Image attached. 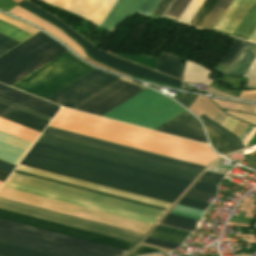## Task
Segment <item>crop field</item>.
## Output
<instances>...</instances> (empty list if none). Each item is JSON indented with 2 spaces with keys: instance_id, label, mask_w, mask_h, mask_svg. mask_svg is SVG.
Listing matches in <instances>:
<instances>
[{
  "instance_id": "28",
  "label": "crop field",
  "mask_w": 256,
  "mask_h": 256,
  "mask_svg": "<svg viewBox=\"0 0 256 256\" xmlns=\"http://www.w3.org/2000/svg\"><path fill=\"white\" fill-rule=\"evenodd\" d=\"M209 73L210 71L202 68L201 65L187 60L184 81L195 83L201 82L209 85L213 82V80L206 77Z\"/></svg>"
},
{
  "instance_id": "1",
  "label": "crop field",
  "mask_w": 256,
  "mask_h": 256,
  "mask_svg": "<svg viewBox=\"0 0 256 256\" xmlns=\"http://www.w3.org/2000/svg\"><path fill=\"white\" fill-rule=\"evenodd\" d=\"M49 127L206 166L217 157L207 145L62 108Z\"/></svg>"
},
{
  "instance_id": "32",
  "label": "crop field",
  "mask_w": 256,
  "mask_h": 256,
  "mask_svg": "<svg viewBox=\"0 0 256 256\" xmlns=\"http://www.w3.org/2000/svg\"><path fill=\"white\" fill-rule=\"evenodd\" d=\"M155 130H159V131H163V132H167V133H171L174 135H178V136H182V137H186L189 139L207 143L205 140L204 133L201 131L184 128V127H180V126H176V125H172V124H168V123H165V124L159 126Z\"/></svg>"
},
{
  "instance_id": "17",
  "label": "crop field",
  "mask_w": 256,
  "mask_h": 256,
  "mask_svg": "<svg viewBox=\"0 0 256 256\" xmlns=\"http://www.w3.org/2000/svg\"><path fill=\"white\" fill-rule=\"evenodd\" d=\"M3 187L31 193L34 195L62 201L65 203L89 208L92 210L120 216L123 218L131 219V220H135V221H139V222H143V223H147V224H151V225H153L154 222L157 220L156 218H152V217H148V216H144V215H140V214H136V213H132V212H128V211H124V210H120V209H116V208H112V207H108V206H104V205H100V204H96V203H92V202H88V201H84V200H80V199H76V198H72V197H68V196H64V195H60V194H56V193H52V192L24 186V185L12 183V182H8V181L5 182Z\"/></svg>"
},
{
  "instance_id": "55",
  "label": "crop field",
  "mask_w": 256,
  "mask_h": 256,
  "mask_svg": "<svg viewBox=\"0 0 256 256\" xmlns=\"http://www.w3.org/2000/svg\"><path fill=\"white\" fill-rule=\"evenodd\" d=\"M252 128H253V126L248 125V127L246 128V130L243 132V134L240 137L242 142L246 138V136L249 134V132L252 130Z\"/></svg>"
},
{
  "instance_id": "53",
  "label": "crop field",
  "mask_w": 256,
  "mask_h": 256,
  "mask_svg": "<svg viewBox=\"0 0 256 256\" xmlns=\"http://www.w3.org/2000/svg\"><path fill=\"white\" fill-rule=\"evenodd\" d=\"M133 252L135 253H141V254H147V253H151V252H158L154 249H151V248H146V247H142V246H139L137 249H135Z\"/></svg>"
},
{
  "instance_id": "6",
  "label": "crop field",
  "mask_w": 256,
  "mask_h": 256,
  "mask_svg": "<svg viewBox=\"0 0 256 256\" xmlns=\"http://www.w3.org/2000/svg\"><path fill=\"white\" fill-rule=\"evenodd\" d=\"M182 111L178 104L146 89L103 117L154 129Z\"/></svg>"
},
{
  "instance_id": "40",
  "label": "crop field",
  "mask_w": 256,
  "mask_h": 256,
  "mask_svg": "<svg viewBox=\"0 0 256 256\" xmlns=\"http://www.w3.org/2000/svg\"><path fill=\"white\" fill-rule=\"evenodd\" d=\"M178 204L188 206V207L198 208L202 210H205L210 205L209 203H204V202L196 201V200L185 198V197H183V199Z\"/></svg>"
},
{
  "instance_id": "33",
  "label": "crop field",
  "mask_w": 256,
  "mask_h": 256,
  "mask_svg": "<svg viewBox=\"0 0 256 256\" xmlns=\"http://www.w3.org/2000/svg\"><path fill=\"white\" fill-rule=\"evenodd\" d=\"M188 234L190 233L157 225L149 236L181 244Z\"/></svg>"
},
{
  "instance_id": "9",
  "label": "crop field",
  "mask_w": 256,
  "mask_h": 256,
  "mask_svg": "<svg viewBox=\"0 0 256 256\" xmlns=\"http://www.w3.org/2000/svg\"><path fill=\"white\" fill-rule=\"evenodd\" d=\"M29 10L37 13L38 15L48 19L49 21L61 26L64 30H66L71 36H73L78 42H80L87 50L88 54L109 66H112L120 71L127 72L138 77L174 85L181 87V81L176 80L174 78L168 77L166 75L157 73L155 71L149 70L147 68L141 67L139 65L130 63L128 61L122 60L120 58L114 57L112 55L106 54L94 48L91 44H89L86 40L80 37L77 33H75L72 29L68 26L60 22L58 19L53 17L52 15L48 14L47 12L43 11L42 9L38 8L37 6L33 5L32 3L28 2L27 0H23L18 3Z\"/></svg>"
},
{
  "instance_id": "10",
  "label": "crop field",
  "mask_w": 256,
  "mask_h": 256,
  "mask_svg": "<svg viewBox=\"0 0 256 256\" xmlns=\"http://www.w3.org/2000/svg\"><path fill=\"white\" fill-rule=\"evenodd\" d=\"M8 180L33 186V187H37V188H41V189H45V190H49V191H53V192H57V193H61V194H65V195H69V196H73V197H77V198H81V199H85V200H89V201H93V202H97V203H101V204H105V205H109V206H113V207H117V208H121V209H125V210H129V211H133V212H137V213H141V214H145V215H149V216H153V217H157V218H159L163 213V211L132 204L129 202L117 200L114 198L98 195L95 193L83 191L80 189L64 186L61 184L49 182L46 180L30 177V176L15 173V172L12 173V175L9 177Z\"/></svg>"
},
{
  "instance_id": "61",
  "label": "crop field",
  "mask_w": 256,
  "mask_h": 256,
  "mask_svg": "<svg viewBox=\"0 0 256 256\" xmlns=\"http://www.w3.org/2000/svg\"><path fill=\"white\" fill-rule=\"evenodd\" d=\"M140 254H134V253H131L129 254L128 256H139Z\"/></svg>"
},
{
  "instance_id": "25",
  "label": "crop field",
  "mask_w": 256,
  "mask_h": 256,
  "mask_svg": "<svg viewBox=\"0 0 256 256\" xmlns=\"http://www.w3.org/2000/svg\"><path fill=\"white\" fill-rule=\"evenodd\" d=\"M256 57V44L248 43L237 56L236 60L227 72L228 75L243 77Z\"/></svg>"
},
{
  "instance_id": "29",
  "label": "crop field",
  "mask_w": 256,
  "mask_h": 256,
  "mask_svg": "<svg viewBox=\"0 0 256 256\" xmlns=\"http://www.w3.org/2000/svg\"><path fill=\"white\" fill-rule=\"evenodd\" d=\"M256 27V1L247 12L232 36L247 40L253 29ZM255 30V29H254Z\"/></svg>"
},
{
  "instance_id": "57",
  "label": "crop field",
  "mask_w": 256,
  "mask_h": 256,
  "mask_svg": "<svg viewBox=\"0 0 256 256\" xmlns=\"http://www.w3.org/2000/svg\"><path fill=\"white\" fill-rule=\"evenodd\" d=\"M179 0H175L172 5L170 6V8L168 9V11L165 13L166 16H169V14L171 13V11L173 10V8L176 6V4L178 3Z\"/></svg>"
},
{
  "instance_id": "26",
  "label": "crop field",
  "mask_w": 256,
  "mask_h": 256,
  "mask_svg": "<svg viewBox=\"0 0 256 256\" xmlns=\"http://www.w3.org/2000/svg\"><path fill=\"white\" fill-rule=\"evenodd\" d=\"M156 70L181 79L183 59L175 54L162 51L158 57Z\"/></svg>"
},
{
  "instance_id": "21",
  "label": "crop field",
  "mask_w": 256,
  "mask_h": 256,
  "mask_svg": "<svg viewBox=\"0 0 256 256\" xmlns=\"http://www.w3.org/2000/svg\"><path fill=\"white\" fill-rule=\"evenodd\" d=\"M200 119L204 123V125H206L210 129H212L219 135L223 136L224 138L228 139L235 151L244 147L243 144L241 143V141L239 140V138L237 136H235L234 134L230 133L229 131L222 128L221 126L214 123L213 121H211L210 119L206 118L203 115L200 116ZM206 126H205V128L207 130L210 142H211L212 146L214 147V149L218 153L224 154V153L233 152V149L228 140L219 136L218 134H216L215 132H213L212 130L207 128Z\"/></svg>"
},
{
  "instance_id": "4",
  "label": "crop field",
  "mask_w": 256,
  "mask_h": 256,
  "mask_svg": "<svg viewBox=\"0 0 256 256\" xmlns=\"http://www.w3.org/2000/svg\"><path fill=\"white\" fill-rule=\"evenodd\" d=\"M45 35L40 32L0 57L1 83L10 86L67 51Z\"/></svg>"
},
{
  "instance_id": "43",
  "label": "crop field",
  "mask_w": 256,
  "mask_h": 256,
  "mask_svg": "<svg viewBox=\"0 0 256 256\" xmlns=\"http://www.w3.org/2000/svg\"><path fill=\"white\" fill-rule=\"evenodd\" d=\"M244 77V76H243ZM245 77H248V87L256 88V59L252 63Z\"/></svg>"
},
{
  "instance_id": "34",
  "label": "crop field",
  "mask_w": 256,
  "mask_h": 256,
  "mask_svg": "<svg viewBox=\"0 0 256 256\" xmlns=\"http://www.w3.org/2000/svg\"><path fill=\"white\" fill-rule=\"evenodd\" d=\"M218 2L219 0H205L189 22V25L201 28Z\"/></svg>"
},
{
  "instance_id": "41",
  "label": "crop field",
  "mask_w": 256,
  "mask_h": 256,
  "mask_svg": "<svg viewBox=\"0 0 256 256\" xmlns=\"http://www.w3.org/2000/svg\"><path fill=\"white\" fill-rule=\"evenodd\" d=\"M14 168L15 165L0 160V181L4 182Z\"/></svg>"
},
{
  "instance_id": "47",
  "label": "crop field",
  "mask_w": 256,
  "mask_h": 256,
  "mask_svg": "<svg viewBox=\"0 0 256 256\" xmlns=\"http://www.w3.org/2000/svg\"><path fill=\"white\" fill-rule=\"evenodd\" d=\"M223 176V174L207 171L200 180L218 184L219 181L223 178Z\"/></svg>"
},
{
  "instance_id": "54",
  "label": "crop field",
  "mask_w": 256,
  "mask_h": 256,
  "mask_svg": "<svg viewBox=\"0 0 256 256\" xmlns=\"http://www.w3.org/2000/svg\"><path fill=\"white\" fill-rule=\"evenodd\" d=\"M160 223L165 224V225H169V226H173V227H177V228H181V229H185V230H189V231H194L195 230L193 228H189V227H185V226H181V225H177V224H173V223H169V222H165V221H162Z\"/></svg>"
},
{
  "instance_id": "19",
  "label": "crop field",
  "mask_w": 256,
  "mask_h": 256,
  "mask_svg": "<svg viewBox=\"0 0 256 256\" xmlns=\"http://www.w3.org/2000/svg\"><path fill=\"white\" fill-rule=\"evenodd\" d=\"M0 117L40 133L51 120V117L49 116L43 115L1 98Z\"/></svg>"
},
{
  "instance_id": "13",
  "label": "crop field",
  "mask_w": 256,
  "mask_h": 256,
  "mask_svg": "<svg viewBox=\"0 0 256 256\" xmlns=\"http://www.w3.org/2000/svg\"><path fill=\"white\" fill-rule=\"evenodd\" d=\"M44 134H48V135H52V136H56V137H60V138L88 144V145H92L95 147H99V148L131 155V156L147 159L150 161H154V162H158V163H162V164H166V165H170V166H174V167H178V168H182V169H186V170H190V171H194V172H198V173H200L202 171V169L204 168V166H200V165H196V164H192V163H188V162H184V161H180V160H176V159H172V158H168V157H164V156H160V155H156V154H152V153H148V152H144V151H140V150H136V149H132V148H128L125 146H121V145H117V144H113V143L77 135V134H73V133H69V132H65V131H61V130H57V129H53V128H49V127H47V129L44 131Z\"/></svg>"
},
{
  "instance_id": "42",
  "label": "crop field",
  "mask_w": 256,
  "mask_h": 256,
  "mask_svg": "<svg viewBox=\"0 0 256 256\" xmlns=\"http://www.w3.org/2000/svg\"><path fill=\"white\" fill-rule=\"evenodd\" d=\"M144 243L156 245V246L171 249V250L179 246L178 244H174V243H170V242H166V241H162V240H158L150 237H147Z\"/></svg>"
},
{
  "instance_id": "8",
  "label": "crop field",
  "mask_w": 256,
  "mask_h": 256,
  "mask_svg": "<svg viewBox=\"0 0 256 256\" xmlns=\"http://www.w3.org/2000/svg\"><path fill=\"white\" fill-rule=\"evenodd\" d=\"M38 142L66 148L69 150L97 156L100 158L128 164L131 166L159 172L162 174H166V175H170V176H174V177H178V178H182L190 181H192L198 175V173L150 162L147 160L95 148L92 146H88V145H84V144H80V143H76V142H72V141H68V140H64V139H60V138H56V137H52L44 134L40 136V138L38 139Z\"/></svg>"
},
{
  "instance_id": "11",
  "label": "crop field",
  "mask_w": 256,
  "mask_h": 256,
  "mask_svg": "<svg viewBox=\"0 0 256 256\" xmlns=\"http://www.w3.org/2000/svg\"><path fill=\"white\" fill-rule=\"evenodd\" d=\"M144 89L146 88L121 78L72 109L101 116Z\"/></svg>"
},
{
  "instance_id": "45",
  "label": "crop field",
  "mask_w": 256,
  "mask_h": 256,
  "mask_svg": "<svg viewBox=\"0 0 256 256\" xmlns=\"http://www.w3.org/2000/svg\"><path fill=\"white\" fill-rule=\"evenodd\" d=\"M196 98V95L180 92L176 100L189 109Z\"/></svg>"
},
{
  "instance_id": "22",
  "label": "crop field",
  "mask_w": 256,
  "mask_h": 256,
  "mask_svg": "<svg viewBox=\"0 0 256 256\" xmlns=\"http://www.w3.org/2000/svg\"><path fill=\"white\" fill-rule=\"evenodd\" d=\"M0 97L51 117H53L60 108L56 105L50 104L1 84Z\"/></svg>"
},
{
  "instance_id": "27",
  "label": "crop field",
  "mask_w": 256,
  "mask_h": 256,
  "mask_svg": "<svg viewBox=\"0 0 256 256\" xmlns=\"http://www.w3.org/2000/svg\"><path fill=\"white\" fill-rule=\"evenodd\" d=\"M26 128L0 118V131L33 143L35 139L39 136L40 132L37 133Z\"/></svg>"
},
{
  "instance_id": "14",
  "label": "crop field",
  "mask_w": 256,
  "mask_h": 256,
  "mask_svg": "<svg viewBox=\"0 0 256 256\" xmlns=\"http://www.w3.org/2000/svg\"><path fill=\"white\" fill-rule=\"evenodd\" d=\"M0 228L16 231L19 233L35 236L38 238L54 241L57 243L73 246L76 248L96 252V253L107 255V256H122L127 252L126 250L54 233L51 231H47V230L19 224V223H15V222L3 220V219H0Z\"/></svg>"
},
{
  "instance_id": "31",
  "label": "crop field",
  "mask_w": 256,
  "mask_h": 256,
  "mask_svg": "<svg viewBox=\"0 0 256 256\" xmlns=\"http://www.w3.org/2000/svg\"><path fill=\"white\" fill-rule=\"evenodd\" d=\"M245 44V41L234 39L231 45L229 46L228 50L222 57V59L217 63V65L214 67V69L226 74L229 67L235 60L236 56L242 49L243 45Z\"/></svg>"
},
{
  "instance_id": "58",
  "label": "crop field",
  "mask_w": 256,
  "mask_h": 256,
  "mask_svg": "<svg viewBox=\"0 0 256 256\" xmlns=\"http://www.w3.org/2000/svg\"><path fill=\"white\" fill-rule=\"evenodd\" d=\"M246 167H249V168H252V169H256V163H253V162H248L247 164H246Z\"/></svg>"
},
{
  "instance_id": "62",
  "label": "crop field",
  "mask_w": 256,
  "mask_h": 256,
  "mask_svg": "<svg viewBox=\"0 0 256 256\" xmlns=\"http://www.w3.org/2000/svg\"><path fill=\"white\" fill-rule=\"evenodd\" d=\"M2 182H0V186H1Z\"/></svg>"
},
{
  "instance_id": "38",
  "label": "crop field",
  "mask_w": 256,
  "mask_h": 256,
  "mask_svg": "<svg viewBox=\"0 0 256 256\" xmlns=\"http://www.w3.org/2000/svg\"><path fill=\"white\" fill-rule=\"evenodd\" d=\"M0 32L4 33L20 42L30 36L22 31L15 29V28H13L7 24H4L2 22H0Z\"/></svg>"
},
{
  "instance_id": "30",
  "label": "crop field",
  "mask_w": 256,
  "mask_h": 256,
  "mask_svg": "<svg viewBox=\"0 0 256 256\" xmlns=\"http://www.w3.org/2000/svg\"><path fill=\"white\" fill-rule=\"evenodd\" d=\"M0 256H57L0 241Z\"/></svg>"
},
{
  "instance_id": "60",
  "label": "crop field",
  "mask_w": 256,
  "mask_h": 256,
  "mask_svg": "<svg viewBox=\"0 0 256 256\" xmlns=\"http://www.w3.org/2000/svg\"><path fill=\"white\" fill-rule=\"evenodd\" d=\"M7 50H8V49L3 48V47L0 46V55H1L2 53H4L5 51H7Z\"/></svg>"
},
{
  "instance_id": "44",
  "label": "crop field",
  "mask_w": 256,
  "mask_h": 256,
  "mask_svg": "<svg viewBox=\"0 0 256 256\" xmlns=\"http://www.w3.org/2000/svg\"><path fill=\"white\" fill-rule=\"evenodd\" d=\"M192 188L201 190V191L214 193V194L217 193V185L206 183V182L198 181Z\"/></svg>"
},
{
  "instance_id": "20",
  "label": "crop field",
  "mask_w": 256,
  "mask_h": 256,
  "mask_svg": "<svg viewBox=\"0 0 256 256\" xmlns=\"http://www.w3.org/2000/svg\"><path fill=\"white\" fill-rule=\"evenodd\" d=\"M160 0H118L111 10L101 28L112 32L115 25L136 12L150 17Z\"/></svg>"
},
{
  "instance_id": "5",
  "label": "crop field",
  "mask_w": 256,
  "mask_h": 256,
  "mask_svg": "<svg viewBox=\"0 0 256 256\" xmlns=\"http://www.w3.org/2000/svg\"><path fill=\"white\" fill-rule=\"evenodd\" d=\"M93 69L67 51L11 87L45 99Z\"/></svg>"
},
{
  "instance_id": "7",
  "label": "crop field",
  "mask_w": 256,
  "mask_h": 256,
  "mask_svg": "<svg viewBox=\"0 0 256 256\" xmlns=\"http://www.w3.org/2000/svg\"><path fill=\"white\" fill-rule=\"evenodd\" d=\"M21 165L167 201L180 195L25 156Z\"/></svg>"
},
{
  "instance_id": "15",
  "label": "crop field",
  "mask_w": 256,
  "mask_h": 256,
  "mask_svg": "<svg viewBox=\"0 0 256 256\" xmlns=\"http://www.w3.org/2000/svg\"><path fill=\"white\" fill-rule=\"evenodd\" d=\"M17 169H21V170H25V171H29V172H33V173L53 177V178H56V179H60V180H64V181H68V182H72V183L92 187V188H95V189H99V190H103V191H107V192L127 196V197H130V198H134V199H138V200H142V201H146V202H150V203H154V204H158V205H162V206H166V207H168L170 205V203H166V202H162V201H158V200H154V199L134 195V194H131V193H127V192H123V191H119V190H115V189L95 185V184H92V183H88V182H84V181H80V180H76V179H72V178H68V177H64V176H60V175H57V174H53V173H49V172H45V171H41V170H37V169L25 167V166H21V165H19L17 167ZM17 169H15V172H19V173L27 174V175H30V176L46 179V180H49V181L61 183V184H64V185L80 188V189H83V190L95 192V193H98V194L114 197V198H117V199L129 201V202H132V203L148 206V207L163 210V211L166 209V207H162V206H158V205H154V204H150V203L130 199V198H127V197H123V196H119V195H115V194H111V193L91 189V188H88V187H84V186H80V185H76V184H72V183H68V182H64V181H60V180H56V179H53V178H49V177H45V176H41V175L29 173V172L17 170Z\"/></svg>"
},
{
  "instance_id": "18",
  "label": "crop field",
  "mask_w": 256,
  "mask_h": 256,
  "mask_svg": "<svg viewBox=\"0 0 256 256\" xmlns=\"http://www.w3.org/2000/svg\"><path fill=\"white\" fill-rule=\"evenodd\" d=\"M0 240L61 256H103L4 229H0Z\"/></svg>"
},
{
  "instance_id": "52",
  "label": "crop field",
  "mask_w": 256,
  "mask_h": 256,
  "mask_svg": "<svg viewBox=\"0 0 256 256\" xmlns=\"http://www.w3.org/2000/svg\"><path fill=\"white\" fill-rule=\"evenodd\" d=\"M14 6L16 5L12 4L9 0H0V9L6 12L13 8Z\"/></svg>"
},
{
  "instance_id": "36",
  "label": "crop field",
  "mask_w": 256,
  "mask_h": 256,
  "mask_svg": "<svg viewBox=\"0 0 256 256\" xmlns=\"http://www.w3.org/2000/svg\"><path fill=\"white\" fill-rule=\"evenodd\" d=\"M168 123H172V124L185 126V127L203 131L201 126L199 125L197 119L192 117L189 113H187L185 111L182 112L181 114L177 115L173 119L169 120Z\"/></svg>"
},
{
  "instance_id": "39",
  "label": "crop field",
  "mask_w": 256,
  "mask_h": 256,
  "mask_svg": "<svg viewBox=\"0 0 256 256\" xmlns=\"http://www.w3.org/2000/svg\"><path fill=\"white\" fill-rule=\"evenodd\" d=\"M164 220L173 222V223H177V224L194 227V228H195L196 221H197L195 219H191V218H187V217H183V216H179V215H175V214H171V213H168L167 216L164 218Z\"/></svg>"
},
{
  "instance_id": "24",
  "label": "crop field",
  "mask_w": 256,
  "mask_h": 256,
  "mask_svg": "<svg viewBox=\"0 0 256 256\" xmlns=\"http://www.w3.org/2000/svg\"><path fill=\"white\" fill-rule=\"evenodd\" d=\"M253 2L254 0H234L215 29L232 33Z\"/></svg>"
},
{
  "instance_id": "48",
  "label": "crop field",
  "mask_w": 256,
  "mask_h": 256,
  "mask_svg": "<svg viewBox=\"0 0 256 256\" xmlns=\"http://www.w3.org/2000/svg\"><path fill=\"white\" fill-rule=\"evenodd\" d=\"M228 114L239 118L241 120L247 121L249 123L255 124L256 125V116L254 115H249V114H245V113H238V112H229L226 111Z\"/></svg>"
},
{
  "instance_id": "50",
  "label": "crop field",
  "mask_w": 256,
  "mask_h": 256,
  "mask_svg": "<svg viewBox=\"0 0 256 256\" xmlns=\"http://www.w3.org/2000/svg\"><path fill=\"white\" fill-rule=\"evenodd\" d=\"M18 43L19 42L0 33V45L1 46L10 49V48L14 47L15 45H17Z\"/></svg>"
},
{
  "instance_id": "35",
  "label": "crop field",
  "mask_w": 256,
  "mask_h": 256,
  "mask_svg": "<svg viewBox=\"0 0 256 256\" xmlns=\"http://www.w3.org/2000/svg\"><path fill=\"white\" fill-rule=\"evenodd\" d=\"M231 2L232 0H221L217 7L212 12V14L209 16L205 24L202 26V29L212 30L217 24V22L220 20V18L222 17V15L224 14V12L226 11Z\"/></svg>"
},
{
  "instance_id": "3",
  "label": "crop field",
  "mask_w": 256,
  "mask_h": 256,
  "mask_svg": "<svg viewBox=\"0 0 256 256\" xmlns=\"http://www.w3.org/2000/svg\"><path fill=\"white\" fill-rule=\"evenodd\" d=\"M27 156L182 194L190 181L36 142Z\"/></svg>"
},
{
  "instance_id": "12",
  "label": "crop field",
  "mask_w": 256,
  "mask_h": 256,
  "mask_svg": "<svg viewBox=\"0 0 256 256\" xmlns=\"http://www.w3.org/2000/svg\"><path fill=\"white\" fill-rule=\"evenodd\" d=\"M119 78L95 69L46 100L71 108Z\"/></svg>"
},
{
  "instance_id": "46",
  "label": "crop field",
  "mask_w": 256,
  "mask_h": 256,
  "mask_svg": "<svg viewBox=\"0 0 256 256\" xmlns=\"http://www.w3.org/2000/svg\"><path fill=\"white\" fill-rule=\"evenodd\" d=\"M208 196L215 197L216 195L206 193V192H201L197 190L190 189V191L185 195V197L201 200V201H206Z\"/></svg>"
},
{
  "instance_id": "16",
  "label": "crop field",
  "mask_w": 256,
  "mask_h": 256,
  "mask_svg": "<svg viewBox=\"0 0 256 256\" xmlns=\"http://www.w3.org/2000/svg\"><path fill=\"white\" fill-rule=\"evenodd\" d=\"M0 218L128 250L133 243L47 222L0 209Z\"/></svg>"
},
{
  "instance_id": "23",
  "label": "crop field",
  "mask_w": 256,
  "mask_h": 256,
  "mask_svg": "<svg viewBox=\"0 0 256 256\" xmlns=\"http://www.w3.org/2000/svg\"><path fill=\"white\" fill-rule=\"evenodd\" d=\"M9 12L18 17L26 19L29 22L45 29L50 34H52L54 37L58 38L59 40L63 41L65 44H67L70 48H72L81 57L85 56L83 49L78 44H76L73 40H71L68 36H66L63 32H61L58 28H56L52 24L38 18L37 16L27 12L26 10H24L18 6L14 7Z\"/></svg>"
},
{
  "instance_id": "37",
  "label": "crop field",
  "mask_w": 256,
  "mask_h": 256,
  "mask_svg": "<svg viewBox=\"0 0 256 256\" xmlns=\"http://www.w3.org/2000/svg\"><path fill=\"white\" fill-rule=\"evenodd\" d=\"M204 0H191L185 11L182 13L180 18L178 19V22L186 23L190 21V19L193 17L199 6L202 4Z\"/></svg>"
},
{
  "instance_id": "49",
  "label": "crop field",
  "mask_w": 256,
  "mask_h": 256,
  "mask_svg": "<svg viewBox=\"0 0 256 256\" xmlns=\"http://www.w3.org/2000/svg\"><path fill=\"white\" fill-rule=\"evenodd\" d=\"M189 1L190 0H180L177 6L172 11V13L170 14V17L178 19V17L183 12Z\"/></svg>"
},
{
  "instance_id": "59",
  "label": "crop field",
  "mask_w": 256,
  "mask_h": 256,
  "mask_svg": "<svg viewBox=\"0 0 256 256\" xmlns=\"http://www.w3.org/2000/svg\"><path fill=\"white\" fill-rule=\"evenodd\" d=\"M171 213H175V214H179V215H183V216H187V217H191V218H195V219H201L199 217H195V216H191V215H186V214H182V213H178V212H174V211H171Z\"/></svg>"
},
{
  "instance_id": "56",
  "label": "crop field",
  "mask_w": 256,
  "mask_h": 256,
  "mask_svg": "<svg viewBox=\"0 0 256 256\" xmlns=\"http://www.w3.org/2000/svg\"><path fill=\"white\" fill-rule=\"evenodd\" d=\"M222 159H223V158H222ZM222 159H220V160H218L217 162H215V164H214L213 166H217V167H221V168L230 170L233 166H220Z\"/></svg>"
},
{
  "instance_id": "2",
  "label": "crop field",
  "mask_w": 256,
  "mask_h": 256,
  "mask_svg": "<svg viewBox=\"0 0 256 256\" xmlns=\"http://www.w3.org/2000/svg\"><path fill=\"white\" fill-rule=\"evenodd\" d=\"M0 198L44 208L47 210L91 220L94 222L130 230V231H134L142 234H144L147 231V229L151 226V225L123 219L120 217L92 211L89 209L65 204L62 202L34 196L31 194H27V193L15 191V190L3 188V187H1L0 189ZM4 199H0L1 209L17 212L20 214L44 219L47 221L75 227L78 229L102 234L105 236L129 241L133 243H136L143 236L142 234L94 223L91 221L47 211L44 209L12 202Z\"/></svg>"
},
{
  "instance_id": "51",
  "label": "crop field",
  "mask_w": 256,
  "mask_h": 256,
  "mask_svg": "<svg viewBox=\"0 0 256 256\" xmlns=\"http://www.w3.org/2000/svg\"><path fill=\"white\" fill-rule=\"evenodd\" d=\"M172 2V0H161L153 14L157 15H163L166 8L169 6V4ZM168 9V8H167Z\"/></svg>"
}]
</instances>
